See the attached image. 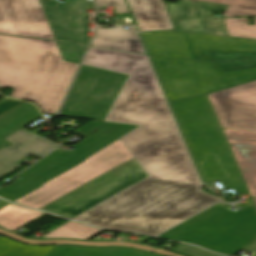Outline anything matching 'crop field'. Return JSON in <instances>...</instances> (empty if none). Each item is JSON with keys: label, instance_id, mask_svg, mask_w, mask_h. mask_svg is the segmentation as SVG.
Returning a JSON list of instances; mask_svg holds the SVG:
<instances>
[{"label": "crop field", "instance_id": "crop-field-26", "mask_svg": "<svg viewBox=\"0 0 256 256\" xmlns=\"http://www.w3.org/2000/svg\"><path fill=\"white\" fill-rule=\"evenodd\" d=\"M254 198V202H255V204H256V197H253Z\"/></svg>", "mask_w": 256, "mask_h": 256}, {"label": "crop field", "instance_id": "crop-field-16", "mask_svg": "<svg viewBox=\"0 0 256 256\" xmlns=\"http://www.w3.org/2000/svg\"><path fill=\"white\" fill-rule=\"evenodd\" d=\"M45 256H159L148 252L121 248H91V247H73L56 246Z\"/></svg>", "mask_w": 256, "mask_h": 256}, {"label": "crop field", "instance_id": "crop-field-5", "mask_svg": "<svg viewBox=\"0 0 256 256\" xmlns=\"http://www.w3.org/2000/svg\"><path fill=\"white\" fill-rule=\"evenodd\" d=\"M136 125L91 121L74 131L86 139L76 145L75 152L58 148L25 172L24 178L14 184L0 188V197L12 202L43 186L42 183L84 162V159L109 145L119 137L135 129ZM46 183V182H45ZM44 184V183H43Z\"/></svg>", "mask_w": 256, "mask_h": 256}, {"label": "crop field", "instance_id": "crop-field-21", "mask_svg": "<svg viewBox=\"0 0 256 256\" xmlns=\"http://www.w3.org/2000/svg\"><path fill=\"white\" fill-rule=\"evenodd\" d=\"M230 36L256 39V25L249 26L245 17L234 19L224 18ZM255 23H256V18ZM244 21H247L245 23Z\"/></svg>", "mask_w": 256, "mask_h": 256}, {"label": "crop field", "instance_id": "crop-field-6", "mask_svg": "<svg viewBox=\"0 0 256 256\" xmlns=\"http://www.w3.org/2000/svg\"><path fill=\"white\" fill-rule=\"evenodd\" d=\"M132 158L118 139L85 159L84 163L47 181L43 187L15 203L40 209Z\"/></svg>", "mask_w": 256, "mask_h": 256}, {"label": "crop field", "instance_id": "crop-field-25", "mask_svg": "<svg viewBox=\"0 0 256 256\" xmlns=\"http://www.w3.org/2000/svg\"><path fill=\"white\" fill-rule=\"evenodd\" d=\"M8 204H10V203L5 202V201H3V200L0 201V209L3 208L4 206L8 205Z\"/></svg>", "mask_w": 256, "mask_h": 256}, {"label": "crop field", "instance_id": "crop-field-15", "mask_svg": "<svg viewBox=\"0 0 256 256\" xmlns=\"http://www.w3.org/2000/svg\"><path fill=\"white\" fill-rule=\"evenodd\" d=\"M39 111V110H38ZM36 107L25 102L16 108L6 112L0 116V149L6 147L10 143L4 140L5 137L15 133L24 125L41 117ZM25 127V126H24Z\"/></svg>", "mask_w": 256, "mask_h": 256}, {"label": "crop field", "instance_id": "crop-field-7", "mask_svg": "<svg viewBox=\"0 0 256 256\" xmlns=\"http://www.w3.org/2000/svg\"><path fill=\"white\" fill-rule=\"evenodd\" d=\"M127 77V74L83 65L61 115L105 120Z\"/></svg>", "mask_w": 256, "mask_h": 256}, {"label": "crop field", "instance_id": "crop-field-8", "mask_svg": "<svg viewBox=\"0 0 256 256\" xmlns=\"http://www.w3.org/2000/svg\"><path fill=\"white\" fill-rule=\"evenodd\" d=\"M146 177L134 158L41 210L73 219Z\"/></svg>", "mask_w": 256, "mask_h": 256}, {"label": "crop field", "instance_id": "crop-field-3", "mask_svg": "<svg viewBox=\"0 0 256 256\" xmlns=\"http://www.w3.org/2000/svg\"><path fill=\"white\" fill-rule=\"evenodd\" d=\"M78 65L63 60L56 42L0 35V86L46 114L58 112Z\"/></svg>", "mask_w": 256, "mask_h": 256}, {"label": "crop field", "instance_id": "crop-field-18", "mask_svg": "<svg viewBox=\"0 0 256 256\" xmlns=\"http://www.w3.org/2000/svg\"><path fill=\"white\" fill-rule=\"evenodd\" d=\"M55 246H27L0 237V256H44Z\"/></svg>", "mask_w": 256, "mask_h": 256}, {"label": "crop field", "instance_id": "crop-field-14", "mask_svg": "<svg viewBox=\"0 0 256 256\" xmlns=\"http://www.w3.org/2000/svg\"><path fill=\"white\" fill-rule=\"evenodd\" d=\"M140 31L174 29L162 0H127Z\"/></svg>", "mask_w": 256, "mask_h": 256}, {"label": "crop field", "instance_id": "crop-field-17", "mask_svg": "<svg viewBox=\"0 0 256 256\" xmlns=\"http://www.w3.org/2000/svg\"><path fill=\"white\" fill-rule=\"evenodd\" d=\"M42 214L43 212L28 210L11 204L0 210V226L13 231Z\"/></svg>", "mask_w": 256, "mask_h": 256}, {"label": "crop field", "instance_id": "crop-field-19", "mask_svg": "<svg viewBox=\"0 0 256 256\" xmlns=\"http://www.w3.org/2000/svg\"><path fill=\"white\" fill-rule=\"evenodd\" d=\"M99 232H101V230H97L90 226L69 221L64 225L58 227L57 229L53 230L52 232L46 234L42 238L67 237L88 240Z\"/></svg>", "mask_w": 256, "mask_h": 256}, {"label": "crop field", "instance_id": "crop-field-20", "mask_svg": "<svg viewBox=\"0 0 256 256\" xmlns=\"http://www.w3.org/2000/svg\"><path fill=\"white\" fill-rule=\"evenodd\" d=\"M218 4L228 5L225 17L255 15L256 16V0H200Z\"/></svg>", "mask_w": 256, "mask_h": 256}, {"label": "crop field", "instance_id": "crop-field-11", "mask_svg": "<svg viewBox=\"0 0 256 256\" xmlns=\"http://www.w3.org/2000/svg\"><path fill=\"white\" fill-rule=\"evenodd\" d=\"M250 193L256 196V131L224 129Z\"/></svg>", "mask_w": 256, "mask_h": 256}, {"label": "crop field", "instance_id": "crop-field-12", "mask_svg": "<svg viewBox=\"0 0 256 256\" xmlns=\"http://www.w3.org/2000/svg\"><path fill=\"white\" fill-rule=\"evenodd\" d=\"M14 143L18 145L17 149L6 147L0 150V177L19 167L15 163L28 155L32 154L40 158L58 145L33 133L22 137Z\"/></svg>", "mask_w": 256, "mask_h": 256}, {"label": "crop field", "instance_id": "crop-field-27", "mask_svg": "<svg viewBox=\"0 0 256 256\" xmlns=\"http://www.w3.org/2000/svg\"><path fill=\"white\" fill-rule=\"evenodd\" d=\"M24 136V135H23ZM22 137V136H21ZM20 138V137H19ZM18 139V138H17Z\"/></svg>", "mask_w": 256, "mask_h": 256}, {"label": "crop field", "instance_id": "crop-field-4", "mask_svg": "<svg viewBox=\"0 0 256 256\" xmlns=\"http://www.w3.org/2000/svg\"><path fill=\"white\" fill-rule=\"evenodd\" d=\"M160 237L198 244L234 256L256 238V208L253 205L232 212L217 204Z\"/></svg>", "mask_w": 256, "mask_h": 256}, {"label": "crop field", "instance_id": "crop-field-22", "mask_svg": "<svg viewBox=\"0 0 256 256\" xmlns=\"http://www.w3.org/2000/svg\"><path fill=\"white\" fill-rule=\"evenodd\" d=\"M98 6L113 5L115 24H134L132 16L124 0H97Z\"/></svg>", "mask_w": 256, "mask_h": 256}, {"label": "crop field", "instance_id": "crop-field-24", "mask_svg": "<svg viewBox=\"0 0 256 256\" xmlns=\"http://www.w3.org/2000/svg\"><path fill=\"white\" fill-rule=\"evenodd\" d=\"M26 133H28V132L26 131V129L23 128L20 131L16 132L15 134H13V135L5 138V139L10 142V141H13L14 139H16L17 135H19V134H26Z\"/></svg>", "mask_w": 256, "mask_h": 256}, {"label": "crop field", "instance_id": "crop-field-13", "mask_svg": "<svg viewBox=\"0 0 256 256\" xmlns=\"http://www.w3.org/2000/svg\"><path fill=\"white\" fill-rule=\"evenodd\" d=\"M123 28H97L92 46L147 55L135 26Z\"/></svg>", "mask_w": 256, "mask_h": 256}, {"label": "crop field", "instance_id": "crop-field-10", "mask_svg": "<svg viewBox=\"0 0 256 256\" xmlns=\"http://www.w3.org/2000/svg\"><path fill=\"white\" fill-rule=\"evenodd\" d=\"M0 33L56 40L39 0H0Z\"/></svg>", "mask_w": 256, "mask_h": 256}, {"label": "crop field", "instance_id": "crop-field-23", "mask_svg": "<svg viewBox=\"0 0 256 256\" xmlns=\"http://www.w3.org/2000/svg\"><path fill=\"white\" fill-rule=\"evenodd\" d=\"M23 103V101L4 98L0 100V115Z\"/></svg>", "mask_w": 256, "mask_h": 256}, {"label": "crop field", "instance_id": "crop-field-2", "mask_svg": "<svg viewBox=\"0 0 256 256\" xmlns=\"http://www.w3.org/2000/svg\"><path fill=\"white\" fill-rule=\"evenodd\" d=\"M169 101L256 79V40L184 33L141 34Z\"/></svg>", "mask_w": 256, "mask_h": 256}, {"label": "crop field", "instance_id": "crop-field-9", "mask_svg": "<svg viewBox=\"0 0 256 256\" xmlns=\"http://www.w3.org/2000/svg\"><path fill=\"white\" fill-rule=\"evenodd\" d=\"M208 96L222 128L256 130V81Z\"/></svg>", "mask_w": 256, "mask_h": 256}, {"label": "crop field", "instance_id": "crop-field-1", "mask_svg": "<svg viewBox=\"0 0 256 256\" xmlns=\"http://www.w3.org/2000/svg\"><path fill=\"white\" fill-rule=\"evenodd\" d=\"M83 64L130 74L106 120L141 125L119 139L150 177L74 220L156 236L222 200L200 190L147 56L91 47Z\"/></svg>", "mask_w": 256, "mask_h": 256}]
</instances>
